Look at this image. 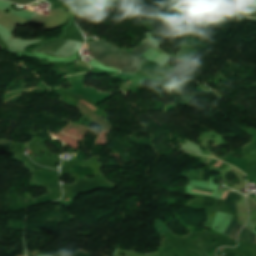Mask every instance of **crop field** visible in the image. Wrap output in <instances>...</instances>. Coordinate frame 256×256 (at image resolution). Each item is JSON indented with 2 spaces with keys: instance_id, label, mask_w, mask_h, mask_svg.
Segmentation results:
<instances>
[{
  "instance_id": "7",
  "label": "crop field",
  "mask_w": 256,
  "mask_h": 256,
  "mask_svg": "<svg viewBox=\"0 0 256 256\" xmlns=\"http://www.w3.org/2000/svg\"><path fill=\"white\" fill-rule=\"evenodd\" d=\"M149 45L147 44H142L141 46H139L138 48H136L135 50H133L131 53L139 55L142 54L144 52H146L147 50H149L150 47H148Z\"/></svg>"
},
{
  "instance_id": "14",
  "label": "crop field",
  "mask_w": 256,
  "mask_h": 256,
  "mask_svg": "<svg viewBox=\"0 0 256 256\" xmlns=\"http://www.w3.org/2000/svg\"><path fill=\"white\" fill-rule=\"evenodd\" d=\"M220 164H221V162L218 161L214 166L219 167Z\"/></svg>"
},
{
  "instance_id": "2",
  "label": "crop field",
  "mask_w": 256,
  "mask_h": 256,
  "mask_svg": "<svg viewBox=\"0 0 256 256\" xmlns=\"http://www.w3.org/2000/svg\"><path fill=\"white\" fill-rule=\"evenodd\" d=\"M83 104H85L86 106L90 107L91 109H93L94 111H98L96 110L94 107H92L90 104L84 102V101H80ZM77 105L78 108H80L81 112L83 113V115L90 121V122H94L100 125V127L102 128L103 131L105 132H109L111 129V125L103 118H99L97 117V115L94 113L93 110H91L90 108L86 107L85 105H83L82 103H80Z\"/></svg>"
},
{
  "instance_id": "11",
  "label": "crop field",
  "mask_w": 256,
  "mask_h": 256,
  "mask_svg": "<svg viewBox=\"0 0 256 256\" xmlns=\"http://www.w3.org/2000/svg\"><path fill=\"white\" fill-rule=\"evenodd\" d=\"M236 223H237V221L231 220L227 230L224 232V235L228 236L229 232L235 226Z\"/></svg>"
},
{
  "instance_id": "13",
  "label": "crop field",
  "mask_w": 256,
  "mask_h": 256,
  "mask_svg": "<svg viewBox=\"0 0 256 256\" xmlns=\"http://www.w3.org/2000/svg\"><path fill=\"white\" fill-rule=\"evenodd\" d=\"M227 193L228 192L223 193V195H222V197L220 199L224 200L226 198V196H227Z\"/></svg>"
},
{
  "instance_id": "9",
  "label": "crop field",
  "mask_w": 256,
  "mask_h": 256,
  "mask_svg": "<svg viewBox=\"0 0 256 256\" xmlns=\"http://www.w3.org/2000/svg\"><path fill=\"white\" fill-rule=\"evenodd\" d=\"M214 201L213 198L205 196L202 205L203 206H211L213 205Z\"/></svg>"
},
{
  "instance_id": "1",
  "label": "crop field",
  "mask_w": 256,
  "mask_h": 256,
  "mask_svg": "<svg viewBox=\"0 0 256 256\" xmlns=\"http://www.w3.org/2000/svg\"><path fill=\"white\" fill-rule=\"evenodd\" d=\"M87 46L92 50L93 58L105 65L136 72L141 66V60L127 51H119L115 47L102 41H89ZM86 44L83 48H87ZM119 69V70H120ZM120 70V75L132 77L135 73Z\"/></svg>"
},
{
  "instance_id": "12",
  "label": "crop field",
  "mask_w": 256,
  "mask_h": 256,
  "mask_svg": "<svg viewBox=\"0 0 256 256\" xmlns=\"http://www.w3.org/2000/svg\"><path fill=\"white\" fill-rule=\"evenodd\" d=\"M194 190H199V191H205V192H210V193H213V190H209V189H202V188H198V187H193ZM192 190V191H194ZM199 191H194V192H199ZM205 192H199V193H204V194H209L211 195L210 193H205Z\"/></svg>"
},
{
  "instance_id": "6",
  "label": "crop field",
  "mask_w": 256,
  "mask_h": 256,
  "mask_svg": "<svg viewBox=\"0 0 256 256\" xmlns=\"http://www.w3.org/2000/svg\"><path fill=\"white\" fill-rule=\"evenodd\" d=\"M239 199H240V196L238 194L229 192L228 196L224 202L227 204L230 211H234L235 203Z\"/></svg>"
},
{
  "instance_id": "8",
  "label": "crop field",
  "mask_w": 256,
  "mask_h": 256,
  "mask_svg": "<svg viewBox=\"0 0 256 256\" xmlns=\"http://www.w3.org/2000/svg\"><path fill=\"white\" fill-rule=\"evenodd\" d=\"M241 227L242 226L240 224H238V223L236 224V226L233 228V230L231 231V233L229 235L231 237V239H235L236 240V235L239 232Z\"/></svg>"
},
{
  "instance_id": "3",
  "label": "crop field",
  "mask_w": 256,
  "mask_h": 256,
  "mask_svg": "<svg viewBox=\"0 0 256 256\" xmlns=\"http://www.w3.org/2000/svg\"><path fill=\"white\" fill-rule=\"evenodd\" d=\"M83 43L77 42L74 40L67 39V41L64 43L60 51L57 53V56H70L76 52H78L80 46Z\"/></svg>"
},
{
  "instance_id": "10",
  "label": "crop field",
  "mask_w": 256,
  "mask_h": 256,
  "mask_svg": "<svg viewBox=\"0 0 256 256\" xmlns=\"http://www.w3.org/2000/svg\"><path fill=\"white\" fill-rule=\"evenodd\" d=\"M8 1H12L14 3H18V4H22V5H26L30 2H34L36 0H8Z\"/></svg>"
},
{
  "instance_id": "5",
  "label": "crop field",
  "mask_w": 256,
  "mask_h": 256,
  "mask_svg": "<svg viewBox=\"0 0 256 256\" xmlns=\"http://www.w3.org/2000/svg\"><path fill=\"white\" fill-rule=\"evenodd\" d=\"M238 241H246L249 243L256 244L255 235L252 232H250L246 227H244L243 230L241 231L238 237Z\"/></svg>"
},
{
  "instance_id": "4",
  "label": "crop field",
  "mask_w": 256,
  "mask_h": 256,
  "mask_svg": "<svg viewBox=\"0 0 256 256\" xmlns=\"http://www.w3.org/2000/svg\"><path fill=\"white\" fill-rule=\"evenodd\" d=\"M236 6L230 8L228 11L235 13L237 15L240 16H252V17H256V8L255 7H251V6H247V5H243L240 3H235Z\"/></svg>"
}]
</instances>
